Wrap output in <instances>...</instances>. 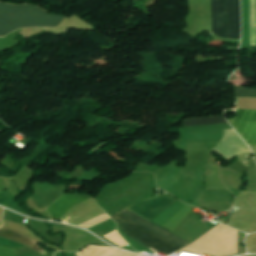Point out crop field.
I'll return each mask as SVG.
<instances>
[{
  "mask_svg": "<svg viewBox=\"0 0 256 256\" xmlns=\"http://www.w3.org/2000/svg\"><path fill=\"white\" fill-rule=\"evenodd\" d=\"M176 201L177 200L167 195H157V196H153V197L144 199L142 201L136 202L126 208L132 210L138 215L151 221ZM126 208L121 210L118 213L130 218L131 220L143 225L144 227L156 232L157 234L169 239L170 241L182 247L190 244L178 238L177 236L163 230L162 228L152 223H149V221L143 219L142 217L138 216L137 214L131 212ZM118 213L111 215V217L117 222V224L120 226L123 232L132 241L148 249L152 247L167 255L182 248ZM150 250L157 252L151 248Z\"/></svg>",
  "mask_w": 256,
  "mask_h": 256,
  "instance_id": "1",
  "label": "crop field"
},
{
  "mask_svg": "<svg viewBox=\"0 0 256 256\" xmlns=\"http://www.w3.org/2000/svg\"><path fill=\"white\" fill-rule=\"evenodd\" d=\"M63 18L33 6L0 4V36L20 27H56Z\"/></svg>",
  "mask_w": 256,
  "mask_h": 256,
  "instance_id": "2",
  "label": "crop field"
},
{
  "mask_svg": "<svg viewBox=\"0 0 256 256\" xmlns=\"http://www.w3.org/2000/svg\"><path fill=\"white\" fill-rule=\"evenodd\" d=\"M212 34L240 39L239 0H212Z\"/></svg>",
  "mask_w": 256,
  "mask_h": 256,
  "instance_id": "3",
  "label": "crop field"
},
{
  "mask_svg": "<svg viewBox=\"0 0 256 256\" xmlns=\"http://www.w3.org/2000/svg\"><path fill=\"white\" fill-rule=\"evenodd\" d=\"M236 97L256 98V89L237 87ZM236 118L229 123L245 139L249 146H256V111L237 110Z\"/></svg>",
  "mask_w": 256,
  "mask_h": 256,
  "instance_id": "4",
  "label": "crop field"
},
{
  "mask_svg": "<svg viewBox=\"0 0 256 256\" xmlns=\"http://www.w3.org/2000/svg\"><path fill=\"white\" fill-rule=\"evenodd\" d=\"M92 196L79 194H63L57 201L47 208L52 221L59 220L73 205L84 201Z\"/></svg>",
  "mask_w": 256,
  "mask_h": 256,
  "instance_id": "5",
  "label": "crop field"
},
{
  "mask_svg": "<svg viewBox=\"0 0 256 256\" xmlns=\"http://www.w3.org/2000/svg\"><path fill=\"white\" fill-rule=\"evenodd\" d=\"M0 236L8 238L13 241H16L18 243H21V244L28 246L40 253L45 250L37 242L35 243L32 239L28 238L27 236H25L19 232L6 229L3 226L0 227Z\"/></svg>",
  "mask_w": 256,
  "mask_h": 256,
  "instance_id": "6",
  "label": "crop field"
},
{
  "mask_svg": "<svg viewBox=\"0 0 256 256\" xmlns=\"http://www.w3.org/2000/svg\"><path fill=\"white\" fill-rule=\"evenodd\" d=\"M185 127L227 123L224 116L183 120Z\"/></svg>",
  "mask_w": 256,
  "mask_h": 256,
  "instance_id": "7",
  "label": "crop field"
},
{
  "mask_svg": "<svg viewBox=\"0 0 256 256\" xmlns=\"http://www.w3.org/2000/svg\"><path fill=\"white\" fill-rule=\"evenodd\" d=\"M191 208L192 206L186 205L161 227L171 232L181 222V220L191 211Z\"/></svg>",
  "mask_w": 256,
  "mask_h": 256,
  "instance_id": "8",
  "label": "crop field"
},
{
  "mask_svg": "<svg viewBox=\"0 0 256 256\" xmlns=\"http://www.w3.org/2000/svg\"><path fill=\"white\" fill-rule=\"evenodd\" d=\"M0 256H16L14 249L0 246Z\"/></svg>",
  "mask_w": 256,
  "mask_h": 256,
  "instance_id": "9",
  "label": "crop field"
},
{
  "mask_svg": "<svg viewBox=\"0 0 256 256\" xmlns=\"http://www.w3.org/2000/svg\"><path fill=\"white\" fill-rule=\"evenodd\" d=\"M39 256H51V255L45 250Z\"/></svg>",
  "mask_w": 256,
  "mask_h": 256,
  "instance_id": "10",
  "label": "crop field"
}]
</instances>
